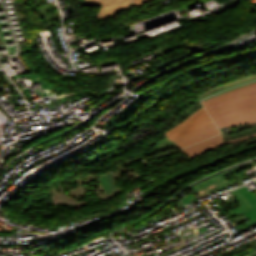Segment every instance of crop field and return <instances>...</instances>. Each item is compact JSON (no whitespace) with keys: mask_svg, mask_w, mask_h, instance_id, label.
<instances>
[{"mask_svg":"<svg viewBox=\"0 0 256 256\" xmlns=\"http://www.w3.org/2000/svg\"><path fill=\"white\" fill-rule=\"evenodd\" d=\"M202 103L219 128L254 123L256 81L206 98Z\"/></svg>","mask_w":256,"mask_h":256,"instance_id":"obj_1","label":"crop field"},{"mask_svg":"<svg viewBox=\"0 0 256 256\" xmlns=\"http://www.w3.org/2000/svg\"><path fill=\"white\" fill-rule=\"evenodd\" d=\"M126 165L131 174L134 176L136 180H141L142 178L133 170L132 166L126 161L120 164L118 167L90 180H84L82 178L75 181L78 185L67 187V186H59L51 191H49L52 195L54 204H72L75 207L81 206L83 204L87 205L86 198L84 196L83 185L90 184L94 185L97 188L100 200H105L111 196L119 194L121 191L114 177L123 173L121 166Z\"/></svg>","mask_w":256,"mask_h":256,"instance_id":"obj_2","label":"crop field"},{"mask_svg":"<svg viewBox=\"0 0 256 256\" xmlns=\"http://www.w3.org/2000/svg\"><path fill=\"white\" fill-rule=\"evenodd\" d=\"M209 122H212V120L206 110L202 107L175 128L165 133V135L172 141L173 139L185 135Z\"/></svg>","mask_w":256,"mask_h":256,"instance_id":"obj_3","label":"crop field"},{"mask_svg":"<svg viewBox=\"0 0 256 256\" xmlns=\"http://www.w3.org/2000/svg\"><path fill=\"white\" fill-rule=\"evenodd\" d=\"M256 183V181H255ZM235 198L241 203L242 206L233 209L229 214L231 216L244 212L249 220L256 218V193L255 191H247L244 186L235 191H232Z\"/></svg>","mask_w":256,"mask_h":256,"instance_id":"obj_4","label":"crop field"},{"mask_svg":"<svg viewBox=\"0 0 256 256\" xmlns=\"http://www.w3.org/2000/svg\"><path fill=\"white\" fill-rule=\"evenodd\" d=\"M86 6H100L97 18L104 19L114 15L117 11L127 8L130 0H84Z\"/></svg>","mask_w":256,"mask_h":256,"instance_id":"obj_5","label":"crop field"},{"mask_svg":"<svg viewBox=\"0 0 256 256\" xmlns=\"http://www.w3.org/2000/svg\"><path fill=\"white\" fill-rule=\"evenodd\" d=\"M218 134H220V131L216 127L215 123L212 122V123H209V124L199 128L185 136H182V137L174 140V142L179 147V149H181L185 146L196 143L203 139L213 137Z\"/></svg>","mask_w":256,"mask_h":256,"instance_id":"obj_6","label":"crop field"},{"mask_svg":"<svg viewBox=\"0 0 256 256\" xmlns=\"http://www.w3.org/2000/svg\"><path fill=\"white\" fill-rule=\"evenodd\" d=\"M254 135H256V134H254ZM254 135H251V136H254ZM251 136L235 139L232 141L243 140V139L249 138ZM228 142H231V141H228ZM225 143H227V142H225ZM221 144H224V143H223L222 135L220 134L216 137H213L208 140L202 141L200 143L194 144V145L184 148L180 151L186 153L188 156V159H190V158H193V157H195V156H197V155H199L217 145H221Z\"/></svg>","mask_w":256,"mask_h":256,"instance_id":"obj_7","label":"crop field"},{"mask_svg":"<svg viewBox=\"0 0 256 256\" xmlns=\"http://www.w3.org/2000/svg\"><path fill=\"white\" fill-rule=\"evenodd\" d=\"M253 79H256V76H252V77H249V78H246V79H243V80H239V81H236V82H233V83H230V84L221 86V87L216 88V89H214V90H212V91H210V92H208V93L203 94V95L200 97V100H201L202 98H204V97L213 95V94H215V93H218V92H220V91H222V90L228 89V88L233 87V86H235V85L247 83V82H249V81H251V80H253Z\"/></svg>","mask_w":256,"mask_h":256,"instance_id":"obj_8","label":"crop field"},{"mask_svg":"<svg viewBox=\"0 0 256 256\" xmlns=\"http://www.w3.org/2000/svg\"><path fill=\"white\" fill-rule=\"evenodd\" d=\"M175 146L176 145L174 144L173 141L171 142L168 138H165L164 140H162L160 143L157 144V146L154 150V153H157L161 150H165V149L172 148Z\"/></svg>","mask_w":256,"mask_h":256,"instance_id":"obj_9","label":"crop field"},{"mask_svg":"<svg viewBox=\"0 0 256 256\" xmlns=\"http://www.w3.org/2000/svg\"><path fill=\"white\" fill-rule=\"evenodd\" d=\"M254 148H256V145H254V146H252V147H249V148H247V149L241 150V151H239V152H236V153H233V154H230V155H226V156L220 158L219 160L216 159V160H214L213 162L207 163V164H205V165H203V166H201V167H204V166L208 167V166H210V165H212V164H215V163H217V162H219V161H221V160H223V159H225V158H227V157H230V156H233V155H235V154H238V153H241V152H244V151H247V150H251V149H254ZM198 168H200V167H198Z\"/></svg>","mask_w":256,"mask_h":256,"instance_id":"obj_10","label":"crop field"},{"mask_svg":"<svg viewBox=\"0 0 256 256\" xmlns=\"http://www.w3.org/2000/svg\"><path fill=\"white\" fill-rule=\"evenodd\" d=\"M146 1H149V0H133L132 6H133V5H140V4H143V3L146 2Z\"/></svg>","mask_w":256,"mask_h":256,"instance_id":"obj_11","label":"crop field"}]
</instances>
